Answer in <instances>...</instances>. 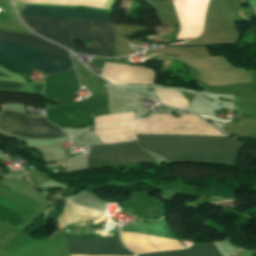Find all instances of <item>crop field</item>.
<instances>
[{
  "label": "crop field",
  "instance_id": "4",
  "mask_svg": "<svg viewBox=\"0 0 256 256\" xmlns=\"http://www.w3.org/2000/svg\"><path fill=\"white\" fill-rule=\"evenodd\" d=\"M0 128L6 132L34 139H52L67 136L46 118L30 117L18 112L4 111L0 117Z\"/></svg>",
  "mask_w": 256,
  "mask_h": 256
},
{
  "label": "crop field",
  "instance_id": "3",
  "mask_svg": "<svg viewBox=\"0 0 256 256\" xmlns=\"http://www.w3.org/2000/svg\"><path fill=\"white\" fill-rule=\"evenodd\" d=\"M0 41L21 44L36 50L69 56V53L61 47L26 34L6 33L0 31ZM2 42H0V66L9 68L19 74L32 68L27 63V51L24 46ZM30 48V64L41 72L51 74L66 70L72 66L70 57L58 56L32 50Z\"/></svg>",
  "mask_w": 256,
  "mask_h": 256
},
{
  "label": "crop field",
  "instance_id": "7",
  "mask_svg": "<svg viewBox=\"0 0 256 256\" xmlns=\"http://www.w3.org/2000/svg\"><path fill=\"white\" fill-rule=\"evenodd\" d=\"M138 256H222L213 243L195 244L193 247L174 252H156Z\"/></svg>",
  "mask_w": 256,
  "mask_h": 256
},
{
  "label": "crop field",
  "instance_id": "2",
  "mask_svg": "<svg viewBox=\"0 0 256 256\" xmlns=\"http://www.w3.org/2000/svg\"><path fill=\"white\" fill-rule=\"evenodd\" d=\"M136 136L141 148L152 150L170 162L235 164L238 151L243 145L227 136Z\"/></svg>",
  "mask_w": 256,
  "mask_h": 256
},
{
  "label": "crop field",
  "instance_id": "9",
  "mask_svg": "<svg viewBox=\"0 0 256 256\" xmlns=\"http://www.w3.org/2000/svg\"><path fill=\"white\" fill-rule=\"evenodd\" d=\"M238 1H240V2H248V0H238Z\"/></svg>",
  "mask_w": 256,
  "mask_h": 256
},
{
  "label": "crop field",
  "instance_id": "10",
  "mask_svg": "<svg viewBox=\"0 0 256 256\" xmlns=\"http://www.w3.org/2000/svg\"><path fill=\"white\" fill-rule=\"evenodd\" d=\"M160 1H164V0H160Z\"/></svg>",
  "mask_w": 256,
  "mask_h": 256
},
{
  "label": "crop field",
  "instance_id": "8",
  "mask_svg": "<svg viewBox=\"0 0 256 256\" xmlns=\"http://www.w3.org/2000/svg\"><path fill=\"white\" fill-rule=\"evenodd\" d=\"M68 22L74 38L90 40L91 21L84 19H69Z\"/></svg>",
  "mask_w": 256,
  "mask_h": 256
},
{
  "label": "crop field",
  "instance_id": "1",
  "mask_svg": "<svg viewBox=\"0 0 256 256\" xmlns=\"http://www.w3.org/2000/svg\"><path fill=\"white\" fill-rule=\"evenodd\" d=\"M19 15L44 16L60 18H84L95 21L110 22L107 16L110 11L87 9L78 12L73 8L15 7ZM20 16L23 22L39 35L57 42L69 49L73 47V38L67 19ZM92 21L91 49L75 48L73 52L116 57L114 47L115 25Z\"/></svg>",
  "mask_w": 256,
  "mask_h": 256
},
{
  "label": "crop field",
  "instance_id": "5",
  "mask_svg": "<svg viewBox=\"0 0 256 256\" xmlns=\"http://www.w3.org/2000/svg\"><path fill=\"white\" fill-rule=\"evenodd\" d=\"M89 156L123 163L154 160L142 151L137 141L92 146Z\"/></svg>",
  "mask_w": 256,
  "mask_h": 256
},
{
  "label": "crop field",
  "instance_id": "6",
  "mask_svg": "<svg viewBox=\"0 0 256 256\" xmlns=\"http://www.w3.org/2000/svg\"><path fill=\"white\" fill-rule=\"evenodd\" d=\"M69 253L132 255L119 237L66 239Z\"/></svg>",
  "mask_w": 256,
  "mask_h": 256
}]
</instances>
